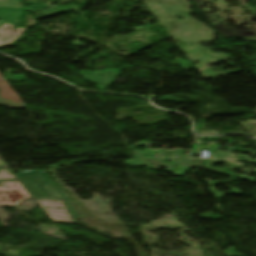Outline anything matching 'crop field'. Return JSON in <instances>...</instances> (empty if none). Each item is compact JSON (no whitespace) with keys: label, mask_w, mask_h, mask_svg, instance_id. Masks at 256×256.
Listing matches in <instances>:
<instances>
[{"label":"crop field","mask_w":256,"mask_h":256,"mask_svg":"<svg viewBox=\"0 0 256 256\" xmlns=\"http://www.w3.org/2000/svg\"><path fill=\"white\" fill-rule=\"evenodd\" d=\"M17 177L19 179H21L24 183V185L27 187V189L33 194V196L36 199H58V200H62L60 195L57 194L48 184H50L58 193L62 194L63 199L65 200L71 214L73 215L74 218H79L68 195L63 192L59 187H57L53 181L49 178V176L43 172V171H39V170H32V171H27L24 172L22 174L17 175ZM26 178L28 180V182L33 186V188L35 190H33L31 188V186L26 182V180L24 179ZM35 182L38 187L43 191V193L46 196H43L41 194V192L38 190V188L35 186V184L33 183ZM44 182L47 183L46 185H44ZM36 194H39L41 197L37 196Z\"/></svg>","instance_id":"8a807250"},{"label":"crop field","mask_w":256,"mask_h":256,"mask_svg":"<svg viewBox=\"0 0 256 256\" xmlns=\"http://www.w3.org/2000/svg\"><path fill=\"white\" fill-rule=\"evenodd\" d=\"M1 185L2 187H0V205H16L19 204L22 200L30 197L26 190L23 188V186L20 184V182H6L1 183ZM4 186L8 188L5 189Z\"/></svg>","instance_id":"ac0d7876"},{"label":"crop field","mask_w":256,"mask_h":256,"mask_svg":"<svg viewBox=\"0 0 256 256\" xmlns=\"http://www.w3.org/2000/svg\"><path fill=\"white\" fill-rule=\"evenodd\" d=\"M42 204L45 212L56 222L73 223L72 219L63 204L59 201H38Z\"/></svg>","instance_id":"34b2d1b8"},{"label":"crop field","mask_w":256,"mask_h":256,"mask_svg":"<svg viewBox=\"0 0 256 256\" xmlns=\"http://www.w3.org/2000/svg\"><path fill=\"white\" fill-rule=\"evenodd\" d=\"M90 74H94V76L85 75L84 78L88 79L86 81L98 84L97 88L100 90H106L108 87L115 81V79L119 76L118 70H107L101 72H88ZM82 75L83 73L80 72ZM102 75V76H97ZM83 77V76H82Z\"/></svg>","instance_id":"412701ff"},{"label":"crop field","mask_w":256,"mask_h":256,"mask_svg":"<svg viewBox=\"0 0 256 256\" xmlns=\"http://www.w3.org/2000/svg\"><path fill=\"white\" fill-rule=\"evenodd\" d=\"M184 152H185L184 150L168 151V150L164 149V151H161L159 154H157L155 156H148L147 158H153V159H157V160H161V161L171 160L172 164L182 165V166L191 167V168L198 167L197 165H195L196 160L192 159L191 157H189L187 155H184ZM172 154L175 156H179V158L170 159L169 157Z\"/></svg>","instance_id":"f4fd0767"},{"label":"crop field","mask_w":256,"mask_h":256,"mask_svg":"<svg viewBox=\"0 0 256 256\" xmlns=\"http://www.w3.org/2000/svg\"><path fill=\"white\" fill-rule=\"evenodd\" d=\"M153 144L150 142H145V144H141V143H137L135 144L131 149L134 150L133 153H131L130 155L135 156L134 159L127 161V165H130L131 167H140V166H147L148 169H153V166L150 164V162H148L146 160V158L144 157L145 155H155L157 153H159L161 150L160 149H156V150H150L151 146ZM138 146H148V152H140V151H136V148Z\"/></svg>","instance_id":"dd49c442"},{"label":"crop field","mask_w":256,"mask_h":256,"mask_svg":"<svg viewBox=\"0 0 256 256\" xmlns=\"http://www.w3.org/2000/svg\"><path fill=\"white\" fill-rule=\"evenodd\" d=\"M205 169H209V170H213V171H217V172H221V173H225V174H229V175H232V179L231 181H223L224 183H228V182H232L233 179H237V180H242V179H247L253 183H255L256 181L254 180L255 178H252V177H249V176H243V175H237V174H233L227 170H232V169H221V170H217V169H214L212 167H204ZM206 182H209L211 188L210 190L216 195L217 198H222V195L223 194H227V193H218L214 188H213V185H219V182H210L208 181V179L205 180ZM228 188L232 189L231 192L229 193H233V194H242V192L234 189L233 187L227 185Z\"/></svg>","instance_id":"e52e79f7"},{"label":"crop field","mask_w":256,"mask_h":256,"mask_svg":"<svg viewBox=\"0 0 256 256\" xmlns=\"http://www.w3.org/2000/svg\"><path fill=\"white\" fill-rule=\"evenodd\" d=\"M88 2H89L88 0H79V1L74 2V3L80 4L79 7H76V6H73L71 8L55 7V8H51V9L45 10V11L34 13L32 15H45V16H49V15L56 14V13H59V12L66 13V12L71 11V10H73V11L78 13V12L81 11L80 8L82 6H84L85 4H87Z\"/></svg>","instance_id":"d8731c3e"},{"label":"crop field","mask_w":256,"mask_h":256,"mask_svg":"<svg viewBox=\"0 0 256 256\" xmlns=\"http://www.w3.org/2000/svg\"><path fill=\"white\" fill-rule=\"evenodd\" d=\"M148 160L151 162V164L154 166V168H158L159 166L166 167V168H168L167 169L168 172H170L176 166V165H172V164L153 161L151 159H148ZM189 170H191V169L186 168V167L176 166V168L173 170V173L177 174L176 176H183Z\"/></svg>","instance_id":"5a996713"},{"label":"crop field","mask_w":256,"mask_h":256,"mask_svg":"<svg viewBox=\"0 0 256 256\" xmlns=\"http://www.w3.org/2000/svg\"><path fill=\"white\" fill-rule=\"evenodd\" d=\"M58 1H62V0H53L49 3H47V5H44V4H41V5H38L37 1H29L28 3H30V10L32 11H29L30 13H33V12H38V11H41V10H44V9H48V8H51V5L55 2H58Z\"/></svg>","instance_id":"3316defc"},{"label":"crop field","mask_w":256,"mask_h":256,"mask_svg":"<svg viewBox=\"0 0 256 256\" xmlns=\"http://www.w3.org/2000/svg\"><path fill=\"white\" fill-rule=\"evenodd\" d=\"M202 161L204 162V166H211L212 163L223 162V161L214 160V159H203ZM237 161L253 163L252 159H240V158H227V161L225 162H237Z\"/></svg>","instance_id":"28ad6ade"},{"label":"crop field","mask_w":256,"mask_h":256,"mask_svg":"<svg viewBox=\"0 0 256 256\" xmlns=\"http://www.w3.org/2000/svg\"><path fill=\"white\" fill-rule=\"evenodd\" d=\"M9 101V100H7ZM6 100H3L0 98V106H5V107H9V108H19L20 106L24 108L23 104H17V103H13L11 101V103L7 102Z\"/></svg>","instance_id":"d1516ede"},{"label":"crop field","mask_w":256,"mask_h":256,"mask_svg":"<svg viewBox=\"0 0 256 256\" xmlns=\"http://www.w3.org/2000/svg\"><path fill=\"white\" fill-rule=\"evenodd\" d=\"M3 162V163H1ZM2 164H5L3 160H0V165ZM1 174H0V180H3V179H11V178H16L15 176L11 175L7 170H3V171H0ZM7 172V173H5Z\"/></svg>","instance_id":"22f410ed"},{"label":"crop field","mask_w":256,"mask_h":256,"mask_svg":"<svg viewBox=\"0 0 256 256\" xmlns=\"http://www.w3.org/2000/svg\"><path fill=\"white\" fill-rule=\"evenodd\" d=\"M9 1H11V0H5V1L0 2V6H3V7L21 6L20 1H11L13 3H9Z\"/></svg>","instance_id":"cbeb9de0"},{"label":"crop field","mask_w":256,"mask_h":256,"mask_svg":"<svg viewBox=\"0 0 256 256\" xmlns=\"http://www.w3.org/2000/svg\"><path fill=\"white\" fill-rule=\"evenodd\" d=\"M10 73H11V71H9L8 74H6L7 78H5V79H8V80H11V81H14V82H20V81L25 80V77L23 75H20V76H17V77H12V76H10Z\"/></svg>","instance_id":"5142ce71"},{"label":"crop field","mask_w":256,"mask_h":256,"mask_svg":"<svg viewBox=\"0 0 256 256\" xmlns=\"http://www.w3.org/2000/svg\"><path fill=\"white\" fill-rule=\"evenodd\" d=\"M34 24H35L34 20L28 15L24 26L30 28V27L34 26Z\"/></svg>","instance_id":"d9b57169"},{"label":"crop field","mask_w":256,"mask_h":256,"mask_svg":"<svg viewBox=\"0 0 256 256\" xmlns=\"http://www.w3.org/2000/svg\"><path fill=\"white\" fill-rule=\"evenodd\" d=\"M176 61H180V63H181L180 66H182V67L185 68L186 70H189V68H187L186 65L191 64L190 62L185 61V60H182V59H180V58L176 59Z\"/></svg>","instance_id":"733c2abd"},{"label":"crop field","mask_w":256,"mask_h":256,"mask_svg":"<svg viewBox=\"0 0 256 256\" xmlns=\"http://www.w3.org/2000/svg\"><path fill=\"white\" fill-rule=\"evenodd\" d=\"M68 44L77 45V46H86L78 41H74V43H68Z\"/></svg>","instance_id":"4a817a6b"},{"label":"crop field","mask_w":256,"mask_h":256,"mask_svg":"<svg viewBox=\"0 0 256 256\" xmlns=\"http://www.w3.org/2000/svg\"><path fill=\"white\" fill-rule=\"evenodd\" d=\"M200 134L212 135V134H218V133H215V132L207 133V131H204V132H202Z\"/></svg>","instance_id":"bc2a9ffb"},{"label":"crop field","mask_w":256,"mask_h":256,"mask_svg":"<svg viewBox=\"0 0 256 256\" xmlns=\"http://www.w3.org/2000/svg\"><path fill=\"white\" fill-rule=\"evenodd\" d=\"M26 31V30H25ZM19 38V37H18ZM13 43V42H12ZM10 44V43H9Z\"/></svg>","instance_id":"214f88e0"}]
</instances>
